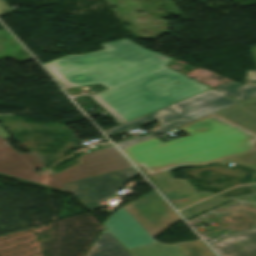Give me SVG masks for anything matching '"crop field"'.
Instances as JSON below:
<instances>
[{
    "mask_svg": "<svg viewBox=\"0 0 256 256\" xmlns=\"http://www.w3.org/2000/svg\"><path fill=\"white\" fill-rule=\"evenodd\" d=\"M86 256H133L107 229Z\"/></svg>",
    "mask_w": 256,
    "mask_h": 256,
    "instance_id": "5a996713",
    "label": "crop field"
},
{
    "mask_svg": "<svg viewBox=\"0 0 256 256\" xmlns=\"http://www.w3.org/2000/svg\"><path fill=\"white\" fill-rule=\"evenodd\" d=\"M3 10L12 11V9L4 0H0V14L4 13Z\"/></svg>",
    "mask_w": 256,
    "mask_h": 256,
    "instance_id": "22f410ed",
    "label": "crop field"
},
{
    "mask_svg": "<svg viewBox=\"0 0 256 256\" xmlns=\"http://www.w3.org/2000/svg\"><path fill=\"white\" fill-rule=\"evenodd\" d=\"M229 201H231V200L226 199L224 197H221L219 195H216V196H214L212 198H209V199H207L205 201H202V202H200V203H198V204H196L194 206H191V207H189V208H187L185 210H182V211H180V213L186 219H188L190 217L198 215V214H200L202 212H205L207 210L215 208V207H217L219 205H222L224 203H227Z\"/></svg>",
    "mask_w": 256,
    "mask_h": 256,
    "instance_id": "28ad6ade",
    "label": "crop field"
},
{
    "mask_svg": "<svg viewBox=\"0 0 256 256\" xmlns=\"http://www.w3.org/2000/svg\"><path fill=\"white\" fill-rule=\"evenodd\" d=\"M0 136H2L4 139L9 138V136L2 130L0 127Z\"/></svg>",
    "mask_w": 256,
    "mask_h": 256,
    "instance_id": "cbeb9de0",
    "label": "crop field"
},
{
    "mask_svg": "<svg viewBox=\"0 0 256 256\" xmlns=\"http://www.w3.org/2000/svg\"><path fill=\"white\" fill-rule=\"evenodd\" d=\"M43 65L64 89L99 83L91 96L119 125L211 88L166 67L172 58L124 38Z\"/></svg>",
    "mask_w": 256,
    "mask_h": 256,
    "instance_id": "8a807250",
    "label": "crop field"
},
{
    "mask_svg": "<svg viewBox=\"0 0 256 256\" xmlns=\"http://www.w3.org/2000/svg\"><path fill=\"white\" fill-rule=\"evenodd\" d=\"M220 256H256V232L211 244Z\"/></svg>",
    "mask_w": 256,
    "mask_h": 256,
    "instance_id": "e52e79f7",
    "label": "crop field"
},
{
    "mask_svg": "<svg viewBox=\"0 0 256 256\" xmlns=\"http://www.w3.org/2000/svg\"><path fill=\"white\" fill-rule=\"evenodd\" d=\"M137 172L134 168H131L65 184L64 186L91 212L103 206L100 202L119 191L134 176L138 175Z\"/></svg>",
    "mask_w": 256,
    "mask_h": 256,
    "instance_id": "dd49c442",
    "label": "crop field"
},
{
    "mask_svg": "<svg viewBox=\"0 0 256 256\" xmlns=\"http://www.w3.org/2000/svg\"><path fill=\"white\" fill-rule=\"evenodd\" d=\"M78 158L81 163L54 176H38L34 169L44 165L32 154H18L0 137V173L39 185L58 188L65 183L132 167L114 147L91 151Z\"/></svg>",
    "mask_w": 256,
    "mask_h": 256,
    "instance_id": "412701ff",
    "label": "crop field"
},
{
    "mask_svg": "<svg viewBox=\"0 0 256 256\" xmlns=\"http://www.w3.org/2000/svg\"><path fill=\"white\" fill-rule=\"evenodd\" d=\"M215 89L241 102L256 96V85H242L234 81Z\"/></svg>",
    "mask_w": 256,
    "mask_h": 256,
    "instance_id": "3316defc",
    "label": "crop field"
},
{
    "mask_svg": "<svg viewBox=\"0 0 256 256\" xmlns=\"http://www.w3.org/2000/svg\"><path fill=\"white\" fill-rule=\"evenodd\" d=\"M243 103H253V104H256V97H255V98H252V99H250V100H248V101H245V102H243Z\"/></svg>",
    "mask_w": 256,
    "mask_h": 256,
    "instance_id": "5142ce71",
    "label": "crop field"
},
{
    "mask_svg": "<svg viewBox=\"0 0 256 256\" xmlns=\"http://www.w3.org/2000/svg\"><path fill=\"white\" fill-rule=\"evenodd\" d=\"M237 103L239 102L211 89L121 126L104 131V133L108 137H112L139 125L158 122L157 127L149 130L152 134L116 143L121 149Z\"/></svg>",
    "mask_w": 256,
    "mask_h": 256,
    "instance_id": "f4fd0767",
    "label": "crop field"
},
{
    "mask_svg": "<svg viewBox=\"0 0 256 256\" xmlns=\"http://www.w3.org/2000/svg\"><path fill=\"white\" fill-rule=\"evenodd\" d=\"M179 220L154 191L117 210L103 225L134 256H214L200 240L167 245L152 238Z\"/></svg>",
    "mask_w": 256,
    "mask_h": 256,
    "instance_id": "34b2d1b8",
    "label": "crop field"
},
{
    "mask_svg": "<svg viewBox=\"0 0 256 256\" xmlns=\"http://www.w3.org/2000/svg\"><path fill=\"white\" fill-rule=\"evenodd\" d=\"M179 128L189 136L164 143L154 138L123 152L150 176L256 151L255 133L214 114Z\"/></svg>",
    "mask_w": 256,
    "mask_h": 256,
    "instance_id": "ac0d7876",
    "label": "crop field"
},
{
    "mask_svg": "<svg viewBox=\"0 0 256 256\" xmlns=\"http://www.w3.org/2000/svg\"><path fill=\"white\" fill-rule=\"evenodd\" d=\"M214 114L256 133V105L239 103Z\"/></svg>",
    "mask_w": 256,
    "mask_h": 256,
    "instance_id": "d8731c3e",
    "label": "crop field"
},
{
    "mask_svg": "<svg viewBox=\"0 0 256 256\" xmlns=\"http://www.w3.org/2000/svg\"><path fill=\"white\" fill-rule=\"evenodd\" d=\"M256 63V46L250 49ZM245 84H256V71L247 70Z\"/></svg>",
    "mask_w": 256,
    "mask_h": 256,
    "instance_id": "d1516ede",
    "label": "crop field"
}]
</instances>
